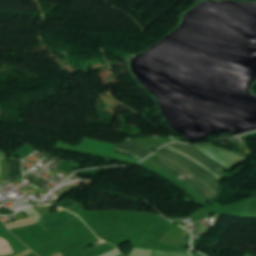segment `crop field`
<instances>
[{
    "label": "crop field",
    "mask_w": 256,
    "mask_h": 256,
    "mask_svg": "<svg viewBox=\"0 0 256 256\" xmlns=\"http://www.w3.org/2000/svg\"><path fill=\"white\" fill-rule=\"evenodd\" d=\"M156 153H158L162 156H165L167 158H170V159L178 162L182 166L188 168L189 170H191L192 172H194L195 174L200 176L202 179H204L206 181V183L208 185H210L218 195H220L221 184L217 181V179L211 173L202 169L199 165L193 163L192 161L188 160L187 158H185L177 153H173L164 148L160 149Z\"/></svg>",
    "instance_id": "1"
},
{
    "label": "crop field",
    "mask_w": 256,
    "mask_h": 256,
    "mask_svg": "<svg viewBox=\"0 0 256 256\" xmlns=\"http://www.w3.org/2000/svg\"><path fill=\"white\" fill-rule=\"evenodd\" d=\"M196 147H198L201 151H203L207 155L211 156L217 162H219L229 168L248 159L243 156L237 155L235 153L229 152L222 148L215 147L210 144H204V145H200V146H196Z\"/></svg>",
    "instance_id": "2"
},
{
    "label": "crop field",
    "mask_w": 256,
    "mask_h": 256,
    "mask_svg": "<svg viewBox=\"0 0 256 256\" xmlns=\"http://www.w3.org/2000/svg\"><path fill=\"white\" fill-rule=\"evenodd\" d=\"M171 147L181 150L193 158L197 159L200 161L202 164H204L206 167L214 171L221 179L224 178L222 174H220L217 170H228V168L220 165L216 161H214L212 158L209 156L205 155L204 153L200 152L196 147L191 146V145H184V144H170Z\"/></svg>",
    "instance_id": "3"
},
{
    "label": "crop field",
    "mask_w": 256,
    "mask_h": 256,
    "mask_svg": "<svg viewBox=\"0 0 256 256\" xmlns=\"http://www.w3.org/2000/svg\"><path fill=\"white\" fill-rule=\"evenodd\" d=\"M77 217L76 215L66 211H58L45 214L41 217L40 223L45 231L62 228L69 220Z\"/></svg>",
    "instance_id": "4"
},
{
    "label": "crop field",
    "mask_w": 256,
    "mask_h": 256,
    "mask_svg": "<svg viewBox=\"0 0 256 256\" xmlns=\"http://www.w3.org/2000/svg\"><path fill=\"white\" fill-rule=\"evenodd\" d=\"M155 165H157V166L161 167L162 169L168 171L169 173L173 174L174 176H176L177 178H179L180 180H182L183 182L188 184L190 187H192L203 198V200L205 202H208V201L211 200L210 197L203 191V189L200 187V185L197 182H195L192 179L186 177L185 175L177 172L176 170L167 166L166 164H164L160 160Z\"/></svg>",
    "instance_id": "5"
},
{
    "label": "crop field",
    "mask_w": 256,
    "mask_h": 256,
    "mask_svg": "<svg viewBox=\"0 0 256 256\" xmlns=\"http://www.w3.org/2000/svg\"><path fill=\"white\" fill-rule=\"evenodd\" d=\"M121 146L126 147V148H128V149H130V150H132V151H135V152H137V153H139V154H141V155H143V156H145V157L149 154V152L145 151V150L142 149L141 147H139V146H137L136 144H134V143H132V142H130V141H127V140H125V141L121 144ZM121 146H118V148H119V149H123V150H127V149H125V148H123V147H121ZM127 151H129V150H127ZM130 152H131V151H130ZM131 153L137 155L138 157H140V158H142V159L144 158V157L138 155L137 153H134V152H131Z\"/></svg>",
    "instance_id": "6"
},
{
    "label": "crop field",
    "mask_w": 256,
    "mask_h": 256,
    "mask_svg": "<svg viewBox=\"0 0 256 256\" xmlns=\"http://www.w3.org/2000/svg\"><path fill=\"white\" fill-rule=\"evenodd\" d=\"M20 165H21V161L10 159L9 166H8L9 178H14L16 177L17 173L21 172Z\"/></svg>",
    "instance_id": "7"
},
{
    "label": "crop field",
    "mask_w": 256,
    "mask_h": 256,
    "mask_svg": "<svg viewBox=\"0 0 256 256\" xmlns=\"http://www.w3.org/2000/svg\"><path fill=\"white\" fill-rule=\"evenodd\" d=\"M18 151H16L11 157L12 158H16V156H20L21 159L25 158L26 156L35 153L36 151H34L29 145H24L23 147L17 149Z\"/></svg>",
    "instance_id": "8"
},
{
    "label": "crop field",
    "mask_w": 256,
    "mask_h": 256,
    "mask_svg": "<svg viewBox=\"0 0 256 256\" xmlns=\"http://www.w3.org/2000/svg\"><path fill=\"white\" fill-rule=\"evenodd\" d=\"M154 155H156V156H158V157H160V158H162V159H164V160L170 162L171 164H173V165H175V166H177V167L183 169L184 171L188 172L189 174L195 176L196 178H198V179L205 185V187H206L215 197L218 196V195L214 192V190H213L210 186H208V185L205 183L204 180L200 179L197 175H195V174L189 172L188 170H186L185 168H183V167L180 166L179 164H177V163H175V162H173V161H171V160H169V159H167V158H165V157H162V156H160V155H158V154H156V153H155Z\"/></svg>",
    "instance_id": "9"
},
{
    "label": "crop field",
    "mask_w": 256,
    "mask_h": 256,
    "mask_svg": "<svg viewBox=\"0 0 256 256\" xmlns=\"http://www.w3.org/2000/svg\"><path fill=\"white\" fill-rule=\"evenodd\" d=\"M34 223H37V222L35 220L26 219V220H22V221L12 223V224H8L7 227H8V229L19 228V227L34 224Z\"/></svg>",
    "instance_id": "10"
},
{
    "label": "crop field",
    "mask_w": 256,
    "mask_h": 256,
    "mask_svg": "<svg viewBox=\"0 0 256 256\" xmlns=\"http://www.w3.org/2000/svg\"><path fill=\"white\" fill-rule=\"evenodd\" d=\"M165 148H167V149H169V150H172V151H174V152H177V153H179V154H181V155L187 157L188 159L192 160L193 162L199 164L201 167H203V168H205L206 170H208L209 172H211L215 177L218 178V180H220V178H219L215 173H213L211 170H209L208 168H206L205 166H203L201 163H199L198 161L194 160V159L191 158L190 156H188V155H186V154H184V153H182V152H180V151H178V150H175V149L171 148V147L168 146V145L165 146Z\"/></svg>",
    "instance_id": "11"
},
{
    "label": "crop field",
    "mask_w": 256,
    "mask_h": 256,
    "mask_svg": "<svg viewBox=\"0 0 256 256\" xmlns=\"http://www.w3.org/2000/svg\"><path fill=\"white\" fill-rule=\"evenodd\" d=\"M152 256H189V254L162 252L154 250Z\"/></svg>",
    "instance_id": "12"
},
{
    "label": "crop field",
    "mask_w": 256,
    "mask_h": 256,
    "mask_svg": "<svg viewBox=\"0 0 256 256\" xmlns=\"http://www.w3.org/2000/svg\"><path fill=\"white\" fill-rule=\"evenodd\" d=\"M160 160H161V159H160ZM161 161H163V160H161ZM163 162L166 163L167 165L173 167L174 169L180 171L181 173H183V174H185V175L191 177V178L194 179L195 181H197V182L202 186V188L205 190V192H206L210 197L214 198V196L204 187L203 184H201V183L199 182L198 179L194 178L193 176L189 175L188 173H186V172H184V171H182V170L176 168L175 166H173V165H171V164H169V163H167V162H165V161H163Z\"/></svg>",
    "instance_id": "13"
},
{
    "label": "crop field",
    "mask_w": 256,
    "mask_h": 256,
    "mask_svg": "<svg viewBox=\"0 0 256 256\" xmlns=\"http://www.w3.org/2000/svg\"><path fill=\"white\" fill-rule=\"evenodd\" d=\"M116 151L124 152V153H126V154H128L130 156H134L133 154H131L129 152H126V151H122V150H118V149H116ZM134 157H136V156H134ZM136 158H138V157H136ZM138 159H140V158H138ZM140 160H142V159H140Z\"/></svg>",
    "instance_id": "14"
}]
</instances>
